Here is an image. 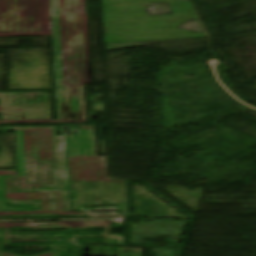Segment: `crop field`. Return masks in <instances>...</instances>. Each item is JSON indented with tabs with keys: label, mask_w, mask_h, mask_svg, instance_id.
Listing matches in <instances>:
<instances>
[{
	"label": "crop field",
	"mask_w": 256,
	"mask_h": 256,
	"mask_svg": "<svg viewBox=\"0 0 256 256\" xmlns=\"http://www.w3.org/2000/svg\"><path fill=\"white\" fill-rule=\"evenodd\" d=\"M24 136L27 178L5 179L6 205L70 209L64 137L55 135V127H25Z\"/></svg>",
	"instance_id": "8a807250"
},
{
	"label": "crop field",
	"mask_w": 256,
	"mask_h": 256,
	"mask_svg": "<svg viewBox=\"0 0 256 256\" xmlns=\"http://www.w3.org/2000/svg\"><path fill=\"white\" fill-rule=\"evenodd\" d=\"M169 2L174 15L149 16L144 7ZM191 3V2H190ZM189 2L176 0H102L105 43L206 37L205 33L177 30L196 20Z\"/></svg>",
	"instance_id": "ac0d7876"
},
{
	"label": "crop field",
	"mask_w": 256,
	"mask_h": 256,
	"mask_svg": "<svg viewBox=\"0 0 256 256\" xmlns=\"http://www.w3.org/2000/svg\"><path fill=\"white\" fill-rule=\"evenodd\" d=\"M72 186V210L82 203L126 202L124 181L106 176L105 157L95 163L69 162Z\"/></svg>",
	"instance_id": "34b2d1b8"
},
{
	"label": "crop field",
	"mask_w": 256,
	"mask_h": 256,
	"mask_svg": "<svg viewBox=\"0 0 256 256\" xmlns=\"http://www.w3.org/2000/svg\"><path fill=\"white\" fill-rule=\"evenodd\" d=\"M24 213H44V214H78V213H68V212H63V211H39V212H6V213H0V215L24 214Z\"/></svg>",
	"instance_id": "412701ff"
},
{
	"label": "crop field",
	"mask_w": 256,
	"mask_h": 256,
	"mask_svg": "<svg viewBox=\"0 0 256 256\" xmlns=\"http://www.w3.org/2000/svg\"><path fill=\"white\" fill-rule=\"evenodd\" d=\"M81 129H93V127H89V126H80Z\"/></svg>",
	"instance_id": "f4fd0767"
}]
</instances>
